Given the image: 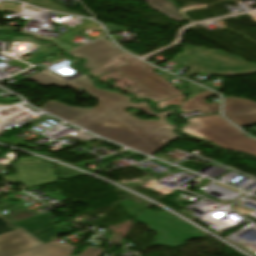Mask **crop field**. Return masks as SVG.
Instances as JSON below:
<instances>
[{
    "instance_id": "obj_23",
    "label": "crop field",
    "mask_w": 256,
    "mask_h": 256,
    "mask_svg": "<svg viewBox=\"0 0 256 256\" xmlns=\"http://www.w3.org/2000/svg\"><path fill=\"white\" fill-rule=\"evenodd\" d=\"M29 159H34V161H29ZM40 162H46V160H42L38 158L18 159V162L15 164H28V163H40Z\"/></svg>"
},
{
    "instance_id": "obj_5",
    "label": "crop field",
    "mask_w": 256,
    "mask_h": 256,
    "mask_svg": "<svg viewBox=\"0 0 256 256\" xmlns=\"http://www.w3.org/2000/svg\"><path fill=\"white\" fill-rule=\"evenodd\" d=\"M172 219H174V221ZM135 220L151 226L150 230L158 234L153 243L155 245L164 246L163 244H166L167 247H176L190 238H202L207 236V234L166 212H163L161 215L160 213L146 210L135 217ZM194 230H197V232H194ZM179 235L181 237H179ZM164 237H166L165 240H163ZM157 238L160 239V241H156Z\"/></svg>"
},
{
    "instance_id": "obj_17",
    "label": "crop field",
    "mask_w": 256,
    "mask_h": 256,
    "mask_svg": "<svg viewBox=\"0 0 256 256\" xmlns=\"http://www.w3.org/2000/svg\"><path fill=\"white\" fill-rule=\"evenodd\" d=\"M121 204L124 207V209L127 211L128 213L127 216L129 217H135L142 211L146 210L140 205H138L137 203L133 202L132 200L131 202H129L128 200L123 201L121 202Z\"/></svg>"
},
{
    "instance_id": "obj_6",
    "label": "crop field",
    "mask_w": 256,
    "mask_h": 256,
    "mask_svg": "<svg viewBox=\"0 0 256 256\" xmlns=\"http://www.w3.org/2000/svg\"><path fill=\"white\" fill-rule=\"evenodd\" d=\"M15 171L17 174L3 175L0 178L10 184L19 182L28 188L58 182L51 162L15 165Z\"/></svg>"
},
{
    "instance_id": "obj_3",
    "label": "crop field",
    "mask_w": 256,
    "mask_h": 256,
    "mask_svg": "<svg viewBox=\"0 0 256 256\" xmlns=\"http://www.w3.org/2000/svg\"><path fill=\"white\" fill-rule=\"evenodd\" d=\"M183 50L184 54L175 57L174 61L191 68L182 76L186 79L200 70L221 76L256 72L255 64L233 57L218 49L208 50L204 47L187 46Z\"/></svg>"
},
{
    "instance_id": "obj_2",
    "label": "crop field",
    "mask_w": 256,
    "mask_h": 256,
    "mask_svg": "<svg viewBox=\"0 0 256 256\" xmlns=\"http://www.w3.org/2000/svg\"><path fill=\"white\" fill-rule=\"evenodd\" d=\"M114 69L139 83L127 89L130 91V93L135 95L136 99L140 97H147L152 102L156 103L169 97L181 94L158 103V109H162L167 105H179L182 102L184 95L155 72H153L152 70L155 68L146 65L128 55L106 63L96 69H92L89 71V73L94 76H98Z\"/></svg>"
},
{
    "instance_id": "obj_7",
    "label": "crop field",
    "mask_w": 256,
    "mask_h": 256,
    "mask_svg": "<svg viewBox=\"0 0 256 256\" xmlns=\"http://www.w3.org/2000/svg\"><path fill=\"white\" fill-rule=\"evenodd\" d=\"M71 56L86 58L88 61L82 67L92 69L96 66L109 62L125 55L105 38L68 52Z\"/></svg>"
},
{
    "instance_id": "obj_8",
    "label": "crop field",
    "mask_w": 256,
    "mask_h": 256,
    "mask_svg": "<svg viewBox=\"0 0 256 256\" xmlns=\"http://www.w3.org/2000/svg\"><path fill=\"white\" fill-rule=\"evenodd\" d=\"M44 244L22 228L0 235V256H13Z\"/></svg>"
},
{
    "instance_id": "obj_10",
    "label": "crop field",
    "mask_w": 256,
    "mask_h": 256,
    "mask_svg": "<svg viewBox=\"0 0 256 256\" xmlns=\"http://www.w3.org/2000/svg\"><path fill=\"white\" fill-rule=\"evenodd\" d=\"M54 223V221L50 220V214H47L21 222L18 225L36 236L41 241L47 243L56 239V235L63 233L52 226Z\"/></svg>"
},
{
    "instance_id": "obj_9",
    "label": "crop field",
    "mask_w": 256,
    "mask_h": 256,
    "mask_svg": "<svg viewBox=\"0 0 256 256\" xmlns=\"http://www.w3.org/2000/svg\"><path fill=\"white\" fill-rule=\"evenodd\" d=\"M224 112L226 117L240 127L256 123V102L227 97Z\"/></svg>"
},
{
    "instance_id": "obj_22",
    "label": "crop field",
    "mask_w": 256,
    "mask_h": 256,
    "mask_svg": "<svg viewBox=\"0 0 256 256\" xmlns=\"http://www.w3.org/2000/svg\"><path fill=\"white\" fill-rule=\"evenodd\" d=\"M102 248L88 246L79 256H98Z\"/></svg>"
},
{
    "instance_id": "obj_21",
    "label": "crop field",
    "mask_w": 256,
    "mask_h": 256,
    "mask_svg": "<svg viewBox=\"0 0 256 256\" xmlns=\"http://www.w3.org/2000/svg\"><path fill=\"white\" fill-rule=\"evenodd\" d=\"M204 90H206V89L200 88V87L188 82L185 95L187 96L188 94H190V96H187L186 99H188Z\"/></svg>"
},
{
    "instance_id": "obj_16",
    "label": "crop field",
    "mask_w": 256,
    "mask_h": 256,
    "mask_svg": "<svg viewBox=\"0 0 256 256\" xmlns=\"http://www.w3.org/2000/svg\"><path fill=\"white\" fill-rule=\"evenodd\" d=\"M23 1H27L30 2L34 5H38V6H44V7H48L52 10H56V11H61V12H66V13H72V14H77V15H82V16H86L84 14L81 13H77V12H73L70 10L65 9L62 5H59L51 0H23ZM89 17V16H86Z\"/></svg>"
},
{
    "instance_id": "obj_15",
    "label": "crop field",
    "mask_w": 256,
    "mask_h": 256,
    "mask_svg": "<svg viewBox=\"0 0 256 256\" xmlns=\"http://www.w3.org/2000/svg\"><path fill=\"white\" fill-rule=\"evenodd\" d=\"M147 2L157 10L161 11L165 15L179 21L185 20L179 13L178 9L170 0L167 2L166 0H147Z\"/></svg>"
},
{
    "instance_id": "obj_24",
    "label": "crop field",
    "mask_w": 256,
    "mask_h": 256,
    "mask_svg": "<svg viewBox=\"0 0 256 256\" xmlns=\"http://www.w3.org/2000/svg\"><path fill=\"white\" fill-rule=\"evenodd\" d=\"M171 75L170 74H168V73H165V74H163V75H161V77H163L165 80H167L168 82L169 81H171V80H173V79H175V78H172V77H170ZM173 76V75H172ZM175 77V76H174Z\"/></svg>"
},
{
    "instance_id": "obj_11",
    "label": "crop field",
    "mask_w": 256,
    "mask_h": 256,
    "mask_svg": "<svg viewBox=\"0 0 256 256\" xmlns=\"http://www.w3.org/2000/svg\"><path fill=\"white\" fill-rule=\"evenodd\" d=\"M25 79L33 80L43 87L48 86V85H55V86H58L61 88L68 87V88H71L72 90H75L78 88L85 89V88L93 85L91 83V79L85 75L68 82L65 79L49 72L48 70H45L38 74L32 75Z\"/></svg>"
},
{
    "instance_id": "obj_25",
    "label": "crop field",
    "mask_w": 256,
    "mask_h": 256,
    "mask_svg": "<svg viewBox=\"0 0 256 256\" xmlns=\"http://www.w3.org/2000/svg\"><path fill=\"white\" fill-rule=\"evenodd\" d=\"M114 158L113 156H109V157H106L105 159L109 160V159H112Z\"/></svg>"
},
{
    "instance_id": "obj_14",
    "label": "crop field",
    "mask_w": 256,
    "mask_h": 256,
    "mask_svg": "<svg viewBox=\"0 0 256 256\" xmlns=\"http://www.w3.org/2000/svg\"><path fill=\"white\" fill-rule=\"evenodd\" d=\"M40 109L71 122L90 108H74L55 101H49Z\"/></svg>"
},
{
    "instance_id": "obj_18",
    "label": "crop field",
    "mask_w": 256,
    "mask_h": 256,
    "mask_svg": "<svg viewBox=\"0 0 256 256\" xmlns=\"http://www.w3.org/2000/svg\"><path fill=\"white\" fill-rule=\"evenodd\" d=\"M1 212V210H0ZM16 221L12 220L11 218H9L8 216H4L0 213V234L1 233H5L11 230H14L16 228H18V226H16L15 223Z\"/></svg>"
},
{
    "instance_id": "obj_13",
    "label": "crop field",
    "mask_w": 256,
    "mask_h": 256,
    "mask_svg": "<svg viewBox=\"0 0 256 256\" xmlns=\"http://www.w3.org/2000/svg\"><path fill=\"white\" fill-rule=\"evenodd\" d=\"M210 95H215L211 91H204L181 104V111L183 113L200 110L202 114L218 112L220 103L207 104L204 100Z\"/></svg>"
},
{
    "instance_id": "obj_1",
    "label": "crop field",
    "mask_w": 256,
    "mask_h": 256,
    "mask_svg": "<svg viewBox=\"0 0 256 256\" xmlns=\"http://www.w3.org/2000/svg\"><path fill=\"white\" fill-rule=\"evenodd\" d=\"M85 90L99 102L97 106L71 122L75 125L151 156L170 141L180 137L171 132L176 126L169 124L164 118L172 115L173 110L156 114L151 111L146 101L134 104L123 94L94 86ZM128 107L139 109L149 116H158L159 120L140 121L124 111Z\"/></svg>"
},
{
    "instance_id": "obj_19",
    "label": "crop field",
    "mask_w": 256,
    "mask_h": 256,
    "mask_svg": "<svg viewBox=\"0 0 256 256\" xmlns=\"http://www.w3.org/2000/svg\"><path fill=\"white\" fill-rule=\"evenodd\" d=\"M55 167H56V169L58 171L59 178H60L61 181L67 180V179H71V178H75V177L83 175V174L75 172V171L73 173H70V171H73V170L64 168V167H62L60 165H57V164H55Z\"/></svg>"
},
{
    "instance_id": "obj_20",
    "label": "crop field",
    "mask_w": 256,
    "mask_h": 256,
    "mask_svg": "<svg viewBox=\"0 0 256 256\" xmlns=\"http://www.w3.org/2000/svg\"><path fill=\"white\" fill-rule=\"evenodd\" d=\"M34 215H36V214L31 212L28 209V207H26V208H23L21 210H18V211H15V212L11 213L9 215V217H11L14 220L18 221V220H21V219H24V218H28V217H31V216H34Z\"/></svg>"
},
{
    "instance_id": "obj_12",
    "label": "crop field",
    "mask_w": 256,
    "mask_h": 256,
    "mask_svg": "<svg viewBox=\"0 0 256 256\" xmlns=\"http://www.w3.org/2000/svg\"><path fill=\"white\" fill-rule=\"evenodd\" d=\"M74 249V246L66 242L60 244L56 241H52L16 256H68Z\"/></svg>"
},
{
    "instance_id": "obj_4",
    "label": "crop field",
    "mask_w": 256,
    "mask_h": 256,
    "mask_svg": "<svg viewBox=\"0 0 256 256\" xmlns=\"http://www.w3.org/2000/svg\"><path fill=\"white\" fill-rule=\"evenodd\" d=\"M187 122L189 124L182 129L185 133L206 139L223 149L256 156V141L239 132L220 115L191 118Z\"/></svg>"
}]
</instances>
